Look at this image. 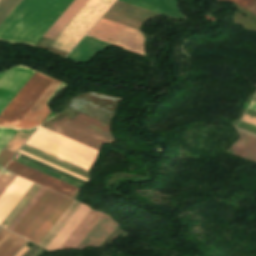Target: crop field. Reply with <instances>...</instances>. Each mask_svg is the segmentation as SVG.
I'll return each mask as SVG.
<instances>
[{
    "label": "crop field",
    "mask_w": 256,
    "mask_h": 256,
    "mask_svg": "<svg viewBox=\"0 0 256 256\" xmlns=\"http://www.w3.org/2000/svg\"><path fill=\"white\" fill-rule=\"evenodd\" d=\"M159 14L117 0L103 18L139 29L143 21Z\"/></svg>",
    "instance_id": "crop-field-9"
},
{
    "label": "crop field",
    "mask_w": 256,
    "mask_h": 256,
    "mask_svg": "<svg viewBox=\"0 0 256 256\" xmlns=\"http://www.w3.org/2000/svg\"><path fill=\"white\" fill-rule=\"evenodd\" d=\"M115 0H88L50 46L67 53Z\"/></svg>",
    "instance_id": "crop-field-4"
},
{
    "label": "crop field",
    "mask_w": 256,
    "mask_h": 256,
    "mask_svg": "<svg viewBox=\"0 0 256 256\" xmlns=\"http://www.w3.org/2000/svg\"><path fill=\"white\" fill-rule=\"evenodd\" d=\"M242 122L256 126V118L249 116L247 114H245L244 118L242 119Z\"/></svg>",
    "instance_id": "crop-field-29"
},
{
    "label": "crop field",
    "mask_w": 256,
    "mask_h": 256,
    "mask_svg": "<svg viewBox=\"0 0 256 256\" xmlns=\"http://www.w3.org/2000/svg\"><path fill=\"white\" fill-rule=\"evenodd\" d=\"M13 155H14V153L3 149V151L0 153V171L3 170V168L10 161V159L13 157Z\"/></svg>",
    "instance_id": "crop-field-27"
},
{
    "label": "crop field",
    "mask_w": 256,
    "mask_h": 256,
    "mask_svg": "<svg viewBox=\"0 0 256 256\" xmlns=\"http://www.w3.org/2000/svg\"><path fill=\"white\" fill-rule=\"evenodd\" d=\"M2 73H3V72H2ZM2 73H0V75H1Z\"/></svg>",
    "instance_id": "crop-field-33"
},
{
    "label": "crop field",
    "mask_w": 256,
    "mask_h": 256,
    "mask_svg": "<svg viewBox=\"0 0 256 256\" xmlns=\"http://www.w3.org/2000/svg\"><path fill=\"white\" fill-rule=\"evenodd\" d=\"M31 188V187H30ZM41 186L36 184L28 191V193L23 197V199L18 203V205L13 209V211L8 215V217L3 221L1 226L9 228V226L14 222L22 210L27 206L35 194L40 190Z\"/></svg>",
    "instance_id": "crop-field-19"
},
{
    "label": "crop field",
    "mask_w": 256,
    "mask_h": 256,
    "mask_svg": "<svg viewBox=\"0 0 256 256\" xmlns=\"http://www.w3.org/2000/svg\"><path fill=\"white\" fill-rule=\"evenodd\" d=\"M27 250H29V248L27 247H23L18 253H16L14 256H21L22 254H24Z\"/></svg>",
    "instance_id": "crop-field-30"
},
{
    "label": "crop field",
    "mask_w": 256,
    "mask_h": 256,
    "mask_svg": "<svg viewBox=\"0 0 256 256\" xmlns=\"http://www.w3.org/2000/svg\"><path fill=\"white\" fill-rule=\"evenodd\" d=\"M33 73L26 67L17 66L0 75V113Z\"/></svg>",
    "instance_id": "crop-field-8"
},
{
    "label": "crop field",
    "mask_w": 256,
    "mask_h": 256,
    "mask_svg": "<svg viewBox=\"0 0 256 256\" xmlns=\"http://www.w3.org/2000/svg\"><path fill=\"white\" fill-rule=\"evenodd\" d=\"M75 120H77V121H79V122H81V123H84V124H86V125H88V126H90V127H93V128H95V129H97V130H99V131H101V132H104V133L110 135V133H109V131H108V125L105 124V123H102V122H100V121H98V120H95V119H93V118H90V117H88V116H86V115H83V114H81V113H79V114L77 115V117L75 118ZM110 136H111V135H110Z\"/></svg>",
    "instance_id": "crop-field-20"
},
{
    "label": "crop field",
    "mask_w": 256,
    "mask_h": 256,
    "mask_svg": "<svg viewBox=\"0 0 256 256\" xmlns=\"http://www.w3.org/2000/svg\"><path fill=\"white\" fill-rule=\"evenodd\" d=\"M117 226L110 217L103 215L78 248L86 245L98 246L102 240Z\"/></svg>",
    "instance_id": "crop-field-14"
},
{
    "label": "crop field",
    "mask_w": 256,
    "mask_h": 256,
    "mask_svg": "<svg viewBox=\"0 0 256 256\" xmlns=\"http://www.w3.org/2000/svg\"><path fill=\"white\" fill-rule=\"evenodd\" d=\"M26 144L89 170L97 150L49 131L41 126ZM97 156V155H96Z\"/></svg>",
    "instance_id": "crop-field-3"
},
{
    "label": "crop field",
    "mask_w": 256,
    "mask_h": 256,
    "mask_svg": "<svg viewBox=\"0 0 256 256\" xmlns=\"http://www.w3.org/2000/svg\"><path fill=\"white\" fill-rule=\"evenodd\" d=\"M60 84L61 82L54 80L53 83L48 87V89L43 93V95L38 99V101L33 105V107L28 111V113L23 117V119L18 123L16 127L30 129L40 124L51 112L48 110L47 106L43 104L59 87Z\"/></svg>",
    "instance_id": "crop-field-12"
},
{
    "label": "crop field",
    "mask_w": 256,
    "mask_h": 256,
    "mask_svg": "<svg viewBox=\"0 0 256 256\" xmlns=\"http://www.w3.org/2000/svg\"><path fill=\"white\" fill-rule=\"evenodd\" d=\"M89 210L90 208L82 204L81 207L76 211V213L71 217V219L62 228V230L58 233V235L53 239V241L48 245L46 249H59Z\"/></svg>",
    "instance_id": "crop-field-15"
},
{
    "label": "crop field",
    "mask_w": 256,
    "mask_h": 256,
    "mask_svg": "<svg viewBox=\"0 0 256 256\" xmlns=\"http://www.w3.org/2000/svg\"><path fill=\"white\" fill-rule=\"evenodd\" d=\"M26 242V240L3 229L0 232V256H12Z\"/></svg>",
    "instance_id": "crop-field-18"
},
{
    "label": "crop field",
    "mask_w": 256,
    "mask_h": 256,
    "mask_svg": "<svg viewBox=\"0 0 256 256\" xmlns=\"http://www.w3.org/2000/svg\"><path fill=\"white\" fill-rule=\"evenodd\" d=\"M19 153H21V154H23V155H26V156H28V157H31V158H33V159H35V160H38V161H40V162H42V163H45V164H47V165H50V166H52V167H54V168H57V169H59V170H62V171H64V172H66V173H69V174H71V175H73V176H76V177H78V178H81V179H83V180H85L86 181V179H84V178H82V177H80V176H77V175H75V174H73V173H70V172H68V171H66V170H64V169H61V168H59V167H57V166H55V165H52V164H50V163H48V162H46V161H43V160H41V159H39V158H36V157H34V156H32V155H30V154H27V153H25V152H23V151H21V150H19Z\"/></svg>",
    "instance_id": "crop-field-28"
},
{
    "label": "crop field",
    "mask_w": 256,
    "mask_h": 256,
    "mask_svg": "<svg viewBox=\"0 0 256 256\" xmlns=\"http://www.w3.org/2000/svg\"><path fill=\"white\" fill-rule=\"evenodd\" d=\"M250 109L256 110V102H252Z\"/></svg>",
    "instance_id": "crop-field-31"
},
{
    "label": "crop field",
    "mask_w": 256,
    "mask_h": 256,
    "mask_svg": "<svg viewBox=\"0 0 256 256\" xmlns=\"http://www.w3.org/2000/svg\"><path fill=\"white\" fill-rule=\"evenodd\" d=\"M16 175L2 171L0 174V196L15 179Z\"/></svg>",
    "instance_id": "crop-field-23"
},
{
    "label": "crop field",
    "mask_w": 256,
    "mask_h": 256,
    "mask_svg": "<svg viewBox=\"0 0 256 256\" xmlns=\"http://www.w3.org/2000/svg\"><path fill=\"white\" fill-rule=\"evenodd\" d=\"M71 202L72 200L46 189L13 232L38 244Z\"/></svg>",
    "instance_id": "crop-field-2"
},
{
    "label": "crop field",
    "mask_w": 256,
    "mask_h": 256,
    "mask_svg": "<svg viewBox=\"0 0 256 256\" xmlns=\"http://www.w3.org/2000/svg\"><path fill=\"white\" fill-rule=\"evenodd\" d=\"M33 183L17 176L0 197V224L21 200Z\"/></svg>",
    "instance_id": "crop-field-11"
},
{
    "label": "crop field",
    "mask_w": 256,
    "mask_h": 256,
    "mask_svg": "<svg viewBox=\"0 0 256 256\" xmlns=\"http://www.w3.org/2000/svg\"><path fill=\"white\" fill-rule=\"evenodd\" d=\"M3 228L0 227V231L2 230Z\"/></svg>",
    "instance_id": "crop-field-32"
},
{
    "label": "crop field",
    "mask_w": 256,
    "mask_h": 256,
    "mask_svg": "<svg viewBox=\"0 0 256 256\" xmlns=\"http://www.w3.org/2000/svg\"><path fill=\"white\" fill-rule=\"evenodd\" d=\"M53 79L35 72L0 114V126L15 127Z\"/></svg>",
    "instance_id": "crop-field-5"
},
{
    "label": "crop field",
    "mask_w": 256,
    "mask_h": 256,
    "mask_svg": "<svg viewBox=\"0 0 256 256\" xmlns=\"http://www.w3.org/2000/svg\"><path fill=\"white\" fill-rule=\"evenodd\" d=\"M73 0H22L0 26V39L35 45Z\"/></svg>",
    "instance_id": "crop-field-1"
},
{
    "label": "crop field",
    "mask_w": 256,
    "mask_h": 256,
    "mask_svg": "<svg viewBox=\"0 0 256 256\" xmlns=\"http://www.w3.org/2000/svg\"><path fill=\"white\" fill-rule=\"evenodd\" d=\"M18 130L0 129V152Z\"/></svg>",
    "instance_id": "crop-field-24"
},
{
    "label": "crop field",
    "mask_w": 256,
    "mask_h": 256,
    "mask_svg": "<svg viewBox=\"0 0 256 256\" xmlns=\"http://www.w3.org/2000/svg\"><path fill=\"white\" fill-rule=\"evenodd\" d=\"M21 0H0V25Z\"/></svg>",
    "instance_id": "crop-field-21"
},
{
    "label": "crop field",
    "mask_w": 256,
    "mask_h": 256,
    "mask_svg": "<svg viewBox=\"0 0 256 256\" xmlns=\"http://www.w3.org/2000/svg\"><path fill=\"white\" fill-rule=\"evenodd\" d=\"M241 139L228 153L256 162V138L240 133Z\"/></svg>",
    "instance_id": "crop-field-17"
},
{
    "label": "crop field",
    "mask_w": 256,
    "mask_h": 256,
    "mask_svg": "<svg viewBox=\"0 0 256 256\" xmlns=\"http://www.w3.org/2000/svg\"><path fill=\"white\" fill-rule=\"evenodd\" d=\"M226 1L234 2L256 14V0H226Z\"/></svg>",
    "instance_id": "crop-field-26"
},
{
    "label": "crop field",
    "mask_w": 256,
    "mask_h": 256,
    "mask_svg": "<svg viewBox=\"0 0 256 256\" xmlns=\"http://www.w3.org/2000/svg\"><path fill=\"white\" fill-rule=\"evenodd\" d=\"M29 135L17 133L13 139L8 143V145L5 147V149L10 150L14 153L17 152V150L22 146V144L27 140Z\"/></svg>",
    "instance_id": "crop-field-22"
},
{
    "label": "crop field",
    "mask_w": 256,
    "mask_h": 256,
    "mask_svg": "<svg viewBox=\"0 0 256 256\" xmlns=\"http://www.w3.org/2000/svg\"><path fill=\"white\" fill-rule=\"evenodd\" d=\"M102 215L103 213L90 210L60 249L68 247L77 248Z\"/></svg>",
    "instance_id": "crop-field-13"
},
{
    "label": "crop field",
    "mask_w": 256,
    "mask_h": 256,
    "mask_svg": "<svg viewBox=\"0 0 256 256\" xmlns=\"http://www.w3.org/2000/svg\"><path fill=\"white\" fill-rule=\"evenodd\" d=\"M48 129L74 139L78 142L86 144L95 149H99L101 142H112L113 138L103 134L97 130L80 124L67 117L61 119L55 124L48 127Z\"/></svg>",
    "instance_id": "crop-field-7"
},
{
    "label": "crop field",
    "mask_w": 256,
    "mask_h": 256,
    "mask_svg": "<svg viewBox=\"0 0 256 256\" xmlns=\"http://www.w3.org/2000/svg\"><path fill=\"white\" fill-rule=\"evenodd\" d=\"M45 188H41V190L36 194V196L32 199V201L28 204V206L23 210V212L19 215V217L15 220V222L10 226L9 230H13V228L18 224V222L22 219V217L26 214V212L31 208V206L35 203V201L39 198V196L44 192Z\"/></svg>",
    "instance_id": "crop-field-25"
},
{
    "label": "crop field",
    "mask_w": 256,
    "mask_h": 256,
    "mask_svg": "<svg viewBox=\"0 0 256 256\" xmlns=\"http://www.w3.org/2000/svg\"><path fill=\"white\" fill-rule=\"evenodd\" d=\"M87 36L144 55V38L137 29L101 18Z\"/></svg>",
    "instance_id": "crop-field-6"
},
{
    "label": "crop field",
    "mask_w": 256,
    "mask_h": 256,
    "mask_svg": "<svg viewBox=\"0 0 256 256\" xmlns=\"http://www.w3.org/2000/svg\"><path fill=\"white\" fill-rule=\"evenodd\" d=\"M5 169L10 172H13L17 175L25 177L29 180H32L36 183H39L43 186H46L50 189L58 191L62 194H65L69 197H72L75 194V192L78 190V188H76L74 186H71V185L64 183L60 180H57L53 177L45 175L41 172H38L34 169H31L27 166L17 163L13 160L10 161V163L7 165V167Z\"/></svg>",
    "instance_id": "crop-field-10"
},
{
    "label": "crop field",
    "mask_w": 256,
    "mask_h": 256,
    "mask_svg": "<svg viewBox=\"0 0 256 256\" xmlns=\"http://www.w3.org/2000/svg\"><path fill=\"white\" fill-rule=\"evenodd\" d=\"M87 0H74L73 3L66 9V11L59 17V19L52 25V27L43 36L46 39L53 40L56 35L63 29V27L71 20V18L78 12V10L85 4Z\"/></svg>",
    "instance_id": "crop-field-16"
}]
</instances>
